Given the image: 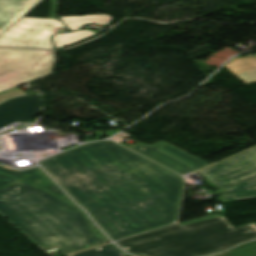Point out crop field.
Returning a JSON list of instances; mask_svg holds the SVG:
<instances>
[{"label": "crop field", "mask_w": 256, "mask_h": 256, "mask_svg": "<svg viewBox=\"0 0 256 256\" xmlns=\"http://www.w3.org/2000/svg\"><path fill=\"white\" fill-rule=\"evenodd\" d=\"M39 164L113 240L176 219L182 178L110 141L84 144Z\"/></svg>", "instance_id": "obj_1"}, {"label": "crop field", "mask_w": 256, "mask_h": 256, "mask_svg": "<svg viewBox=\"0 0 256 256\" xmlns=\"http://www.w3.org/2000/svg\"><path fill=\"white\" fill-rule=\"evenodd\" d=\"M0 214L41 248L69 254L105 243L78 209L21 181L0 188Z\"/></svg>", "instance_id": "obj_2"}, {"label": "crop field", "mask_w": 256, "mask_h": 256, "mask_svg": "<svg viewBox=\"0 0 256 256\" xmlns=\"http://www.w3.org/2000/svg\"><path fill=\"white\" fill-rule=\"evenodd\" d=\"M256 239V224L233 228L223 216L164 227L117 243L142 256H201Z\"/></svg>", "instance_id": "obj_3"}, {"label": "crop field", "mask_w": 256, "mask_h": 256, "mask_svg": "<svg viewBox=\"0 0 256 256\" xmlns=\"http://www.w3.org/2000/svg\"><path fill=\"white\" fill-rule=\"evenodd\" d=\"M216 186L228 201L256 198V147L197 172Z\"/></svg>", "instance_id": "obj_4"}, {"label": "crop field", "mask_w": 256, "mask_h": 256, "mask_svg": "<svg viewBox=\"0 0 256 256\" xmlns=\"http://www.w3.org/2000/svg\"><path fill=\"white\" fill-rule=\"evenodd\" d=\"M51 51L0 49V92L50 73Z\"/></svg>", "instance_id": "obj_5"}, {"label": "crop field", "mask_w": 256, "mask_h": 256, "mask_svg": "<svg viewBox=\"0 0 256 256\" xmlns=\"http://www.w3.org/2000/svg\"><path fill=\"white\" fill-rule=\"evenodd\" d=\"M56 0H51V14L47 19L22 17L0 35V46L35 47L53 49L50 36L57 33V27L66 28L55 18Z\"/></svg>", "instance_id": "obj_6"}, {"label": "crop field", "mask_w": 256, "mask_h": 256, "mask_svg": "<svg viewBox=\"0 0 256 256\" xmlns=\"http://www.w3.org/2000/svg\"><path fill=\"white\" fill-rule=\"evenodd\" d=\"M132 149L180 174L208 165L163 141L153 146L142 143Z\"/></svg>", "instance_id": "obj_7"}, {"label": "crop field", "mask_w": 256, "mask_h": 256, "mask_svg": "<svg viewBox=\"0 0 256 256\" xmlns=\"http://www.w3.org/2000/svg\"><path fill=\"white\" fill-rule=\"evenodd\" d=\"M44 101L30 97H20L0 105V119L34 117L42 111Z\"/></svg>", "instance_id": "obj_8"}, {"label": "crop field", "mask_w": 256, "mask_h": 256, "mask_svg": "<svg viewBox=\"0 0 256 256\" xmlns=\"http://www.w3.org/2000/svg\"><path fill=\"white\" fill-rule=\"evenodd\" d=\"M39 0H0V33Z\"/></svg>", "instance_id": "obj_9"}, {"label": "crop field", "mask_w": 256, "mask_h": 256, "mask_svg": "<svg viewBox=\"0 0 256 256\" xmlns=\"http://www.w3.org/2000/svg\"><path fill=\"white\" fill-rule=\"evenodd\" d=\"M0 171L26 180L35 185L44 187L63 199L67 198V196L45 175V173L39 167L26 171H13L4 166H0Z\"/></svg>", "instance_id": "obj_10"}, {"label": "crop field", "mask_w": 256, "mask_h": 256, "mask_svg": "<svg viewBox=\"0 0 256 256\" xmlns=\"http://www.w3.org/2000/svg\"><path fill=\"white\" fill-rule=\"evenodd\" d=\"M225 66L246 84L256 82V55L236 58Z\"/></svg>", "instance_id": "obj_11"}, {"label": "crop field", "mask_w": 256, "mask_h": 256, "mask_svg": "<svg viewBox=\"0 0 256 256\" xmlns=\"http://www.w3.org/2000/svg\"><path fill=\"white\" fill-rule=\"evenodd\" d=\"M70 29L76 30L85 23L109 24L112 18L106 15L60 18Z\"/></svg>", "instance_id": "obj_12"}, {"label": "crop field", "mask_w": 256, "mask_h": 256, "mask_svg": "<svg viewBox=\"0 0 256 256\" xmlns=\"http://www.w3.org/2000/svg\"><path fill=\"white\" fill-rule=\"evenodd\" d=\"M93 34H96V33L89 30H80L68 35H66L65 33L57 34L53 36V40L56 44V48H60L64 45H67L69 43L91 36Z\"/></svg>", "instance_id": "obj_13"}, {"label": "crop field", "mask_w": 256, "mask_h": 256, "mask_svg": "<svg viewBox=\"0 0 256 256\" xmlns=\"http://www.w3.org/2000/svg\"><path fill=\"white\" fill-rule=\"evenodd\" d=\"M124 253L117 249L112 244L105 245L102 247L82 251L69 256H125Z\"/></svg>", "instance_id": "obj_14"}, {"label": "crop field", "mask_w": 256, "mask_h": 256, "mask_svg": "<svg viewBox=\"0 0 256 256\" xmlns=\"http://www.w3.org/2000/svg\"><path fill=\"white\" fill-rule=\"evenodd\" d=\"M208 256H256V242L240 245L229 251Z\"/></svg>", "instance_id": "obj_15"}, {"label": "crop field", "mask_w": 256, "mask_h": 256, "mask_svg": "<svg viewBox=\"0 0 256 256\" xmlns=\"http://www.w3.org/2000/svg\"><path fill=\"white\" fill-rule=\"evenodd\" d=\"M25 95L22 91H20L19 89L15 88L11 91H8L6 93H3L0 95V102L5 101L6 99L9 98H13V97H18V96H22Z\"/></svg>", "instance_id": "obj_16"}, {"label": "crop field", "mask_w": 256, "mask_h": 256, "mask_svg": "<svg viewBox=\"0 0 256 256\" xmlns=\"http://www.w3.org/2000/svg\"><path fill=\"white\" fill-rule=\"evenodd\" d=\"M18 180H15L13 178H10L8 176L0 174V187H3L5 185H8L10 183L16 182Z\"/></svg>", "instance_id": "obj_17"}, {"label": "crop field", "mask_w": 256, "mask_h": 256, "mask_svg": "<svg viewBox=\"0 0 256 256\" xmlns=\"http://www.w3.org/2000/svg\"><path fill=\"white\" fill-rule=\"evenodd\" d=\"M29 119H31V118L0 120V128H1V127H4V126H6V125H9V124H11V123H14V122H16V121H19V122L23 123V122H25V121H27V120H29Z\"/></svg>", "instance_id": "obj_18"}, {"label": "crop field", "mask_w": 256, "mask_h": 256, "mask_svg": "<svg viewBox=\"0 0 256 256\" xmlns=\"http://www.w3.org/2000/svg\"><path fill=\"white\" fill-rule=\"evenodd\" d=\"M93 226H94V228H95L97 234H98L101 238H103V239H108L94 224H93ZM108 240H109V239H108ZM109 241H110V240H109Z\"/></svg>", "instance_id": "obj_19"}, {"label": "crop field", "mask_w": 256, "mask_h": 256, "mask_svg": "<svg viewBox=\"0 0 256 256\" xmlns=\"http://www.w3.org/2000/svg\"><path fill=\"white\" fill-rule=\"evenodd\" d=\"M66 201H68V202H70V203H72V204H74L69 198H67V199H65ZM75 205V204H74ZM75 206H77V205H75ZM78 207V206H77ZM90 219V218H89ZM90 221H91V219H90ZM92 222V221H91Z\"/></svg>", "instance_id": "obj_20"}]
</instances>
